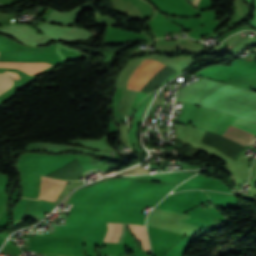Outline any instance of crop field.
<instances>
[{
    "label": "crop field",
    "mask_w": 256,
    "mask_h": 256,
    "mask_svg": "<svg viewBox=\"0 0 256 256\" xmlns=\"http://www.w3.org/2000/svg\"><path fill=\"white\" fill-rule=\"evenodd\" d=\"M161 65V63L152 59L142 61L140 65L136 68V70L132 73L126 88L140 91L148 78Z\"/></svg>",
    "instance_id": "8a807250"
},
{
    "label": "crop field",
    "mask_w": 256,
    "mask_h": 256,
    "mask_svg": "<svg viewBox=\"0 0 256 256\" xmlns=\"http://www.w3.org/2000/svg\"><path fill=\"white\" fill-rule=\"evenodd\" d=\"M198 1H199V0H192L191 3H193V4L197 7Z\"/></svg>",
    "instance_id": "e52e79f7"
},
{
    "label": "crop field",
    "mask_w": 256,
    "mask_h": 256,
    "mask_svg": "<svg viewBox=\"0 0 256 256\" xmlns=\"http://www.w3.org/2000/svg\"><path fill=\"white\" fill-rule=\"evenodd\" d=\"M121 227H122V232H121L120 237H119V239H118V241H117V242H119V243L122 242V240H123V238H124V235H125V232H126V225H125V224H121ZM107 228H108V231H107V233H106V235H105V238H104V240H103V241H105V242H108V240H109V238H110V236H111L112 224H111V223H107Z\"/></svg>",
    "instance_id": "dd49c442"
},
{
    "label": "crop field",
    "mask_w": 256,
    "mask_h": 256,
    "mask_svg": "<svg viewBox=\"0 0 256 256\" xmlns=\"http://www.w3.org/2000/svg\"><path fill=\"white\" fill-rule=\"evenodd\" d=\"M13 84V81L7 74H0V94L5 90L10 88Z\"/></svg>",
    "instance_id": "f4fd0767"
},
{
    "label": "crop field",
    "mask_w": 256,
    "mask_h": 256,
    "mask_svg": "<svg viewBox=\"0 0 256 256\" xmlns=\"http://www.w3.org/2000/svg\"><path fill=\"white\" fill-rule=\"evenodd\" d=\"M66 181L41 176L40 190L37 198L55 202Z\"/></svg>",
    "instance_id": "ac0d7876"
},
{
    "label": "crop field",
    "mask_w": 256,
    "mask_h": 256,
    "mask_svg": "<svg viewBox=\"0 0 256 256\" xmlns=\"http://www.w3.org/2000/svg\"><path fill=\"white\" fill-rule=\"evenodd\" d=\"M50 65L46 63H1L0 67L6 68H18L23 70L31 75L49 67Z\"/></svg>",
    "instance_id": "34b2d1b8"
},
{
    "label": "crop field",
    "mask_w": 256,
    "mask_h": 256,
    "mask_svg": "<svg viewBox=\"0 0 256 256\" xmlns=\"http://www.w3.org/2000/svg\"><path fill=\"white\" fill-rule=\"evenodd\" d=\"M131 233L134 235L136 239L141 240L142 246L144 250H150L148 244V238L146 234V230L144 226L139 225H130L127 224Z\"/></svg>",
    "instance_id": "412701ff"
}]
</instances>
